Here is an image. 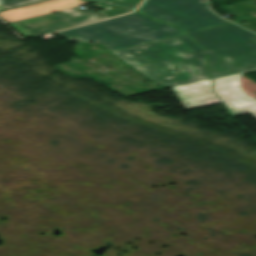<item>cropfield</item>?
Here are the masks:
<instances>
[{"instance_id":"crop-field-2","label":"crop field","mask_w":256,"mask_h":256,"mask_svg":"<svg viewBox=\"0 0 256 256\" xmlns=\"http://www.w3.org/2000/svg\"><path fill=\"white\" fill-rule=\"evenodd\" d=\"M182 33L173 26L134 12L56 34L70 41L99 42L113 52Z\"/></svg>"},{"instance_id":"crop-field-5","label":"crop field","mask_w":256,"mask_h":256,"mask_svg":"<svg viewBox=\"0 0 256 256\" xmlns=\"http://www.w3.org/2000/svg\"><path fill=\"white\" fill-rule=\"evenodd\" d=\"M100 12L83 11L78 7L60 11L59 14H49L21 22L11 23L26 38L55 31L58 29L82 24L85 22L105 18ZM69 22V24H67Z\"/></svg>"},{"instance_id":"crop-field-8","label":"crop field","mask_w":256,"mask_h":256,"mask_svg":"<svg viewBox=\"0 0 256 256\" xmlns=\"http://www.w3.org/2000/svg\"><path fill=\"white\" fill-rule=\"evenodd\" d=\"M211 79L173 88L187 109L220 102L211 90Z\"/></svg>"},{"instance_id":"crop-field-4","label":"crop field","mask_w":256,"mask_h":256,"mask_svg":"<svg viewBox=\"0 0 256 256\" xmlns=\"http://www.w3.org/2000/svg\"><path fill=\"white\" fill-rule=\"evenodd\" d=\"M137 11L178 26L186 33L228 23L199 0H146Z\"/></svg>"},{"instance_id":"crop-field-7","label":"crop field","mask_w":256,"mask_h":256,"mask_svg":"<svg viewBox=\"0 0 256 256\" xmlns=\"http://www.w3.org/2000/svg\"><path fill=\"white\" fill-rule=\"evenodd\" d=\"M83 3H90L83 0H45L0 12V18L5 22L11 23L21 21L54 11L63 10L78 6Z\"/></svg>"},{"instance_id":"crop-field-1","label":"crop field","mask_w":256,"mask_h":256,"mask_svg":"<svg viewBox=\"0 0 256 256\" xmlns=\"http://www.w3.org/2000/svg\"><path fill=\"white\" fill-rule=\"evenodd\" d=\"M114 53L165 87L209 78L204 51L185 34Z\"/></svg>"},{"instance_id":"crop-field-10","label":"crop field","mask_w":256,"mask_h":256,"mask_svg":"<svg viewBox=\"0 0 256 256\" xmlns=\"http://www.w3.org/2000/svg\"><path fill=\"white\" fill-rule=\"evenodd\" d=\"M92 5L101 9L105 8V10H103L102 13L107 17L129 11V10H123V9H118L114 7L104 6L96 3H93Z\"/></svg>"},{"instance_id":"crop-field-9","label":"crop field","mask_w":256,"mask_h":256,"mask_svg":"<svg viewBox=\"0 0 256 256\" xmlns=\"http://www.w3.org/2000/svg\"><path fill=\"white\" fill-rule=\"evenodd\" d=\"M141 0H102L101 3L134 9Z\"/></svg>"},{"instance_id":"crop-field-12","label":"crop field","mask_w":256,"mask_h":256,"mask_svg":"<svg viewBox=\"0 0 256 256\" xmlns=\"http://www.w3.org/2000/svg\"><path fill=\"white\" fill-rule=\"evenodd\" d=\"M90 1H98V0H90Z\"/></svg>"},{"instance_id":"crop-field-6","label":"crop field","mask_w":256,"mask_h":256,"mask_svg":"<svg viewBox=\"0 0 256 256\" xmlns=\"http://www.w3.org/2000/svg\"><path fill=\"white\" fill-rule=\"evenodd\" d=\"M234 82H238V73L214 79V91L229 112L235 115L256 111V102L244 96ZM251 114L256 117V112Z\"/></svg>"},{"instance_id":"crop-field-11","label":"crop field","mask_w":256,"mask_h":256,"mask_svg":"<svg viewBox=\"0 0 256 256\" xmlns=\"http://www.w3.org/2000/svg\"><path fill=\"white\" fill-rule=\"evenodd\" d=\"M37 0H0V10Z\"/></svg>"},{"instance_id":"crop-field-3","label":"crop field","mask_w":256,"mask_h":256,"mask_svg":"<svg viewBox=\"0 0 256 256\" xmlns=\"http://www.w3.org/2000/svg\"><path fill=\"white\" fill-rule=\"evenodd\" d=\"M188 35L208 52L213 78L256 68V35L251 32L229 23Z\"/></svg>"}]
</instances>
